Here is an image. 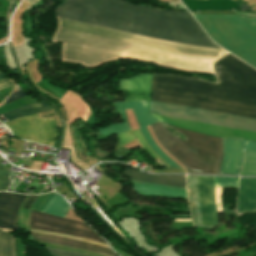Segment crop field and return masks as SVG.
Here are the masks:
<instances>
[{
  "mask_svg": "<svg viewBox=\"0 0 256 256\" xmlns=\"http://www.w3.org/2000/svg\"><path fill=\"white\" fill-rule=\"evenodd\" d=\"M56 15L160 39L220 48L206 36L190 13L186 12L158 10L133 5L124 0H66L57 8ZM57 19L60 26L218 58L228 53L223 49L181 44L58 17ZM60 26L57 27L52 41L63 43L61 61L83 64L84 67H98L104 62L133 58L191 72L214 74L213 63L218 60Z\"/></svg>",
  "mask_w": 256,
  "mask_h": 256,
  "instance_id": "obj_1",
  "label": "crop field"
},
{
  "mask_svg": "<svg viewBox=\"0 0 256 256\" xmlns=\"http://www.w3.org/2000/svg\"><path fill=\"white\" fill-rule=\"evenodd\" d=\"M215 70L219 85L154 75L151 100L256 119V71L230 54Z\"/></svg>",
  "mask_w": 256,
  "mask_h": 256,
  "instance_id": "obj_2",
  "label": "crop field"
},
{
  "mask_svg": "<svg viewBox=\"0 0 256 256\" xmlns=\"http://www.w3.org/2000/svg\"><path fill=\"white\" fill-rule=\"evenodd\" d=\"M161 145L188 173L217 174L222 160V138L177 128L164 123L151 126Z\"/></svg>",
  "mask_w": 256,
  "mask_h": 256,
  "instance_id": "obj_3",
  "label": "crop field"
},
{
  "mask_svg": "<svg viewBox=\"0 0 256 256\" xmlns=\"http://www.w3.org/2000/svg\"><path fill=\"white\" fill-rule=\"evenodd\" d=\"M221 47L256 68V19L239 15H193Z\"/></svg>",
  "mask_w": 256,
  "mask_h": 256,
  "instance_id": "obj_4",
  "label": "crop field"
},
{
  "mask_svg": "<svg viewBox=\"0 0 256 256\" xmlns=\"http://www.w3.org/2000/svg\"><path fill=\"white\" fill-rule=\"evenodd\" d=\"M150 113L161 116L256 131V120L214 113L209 111H203L198 109L186 108L181 106H175L170 104H164L159 102L151 101Z\"/></svg>",
  "mask_w": 256,
  "mask_h": 256,
  "instance_id": "obj_5",
  "label": "crop field"
},
{
  "mask_svg": "<svg viewBox=\"0 0 256 256\" xmlns=\"http://www.w3.org/2000/svg\"><path fill=\"white\" fill-rule=\"evenodd\" d=\"M188 195L194 225H219L214 201L213 177L199 176L200 202L203 216H201L199 202L198 176H187Z\"/></svg>",
  "mask_w": 256,
  "mask_h": 256,
  "instance_id": "obj_6",
  "label": "crop field"
},
{
  "mask_svg": "<svg viewBox=\"0 0 256 256\" xmlns=\"http://www.w3.org/2000/svg\"><path fill=\"white\" fill-rule=\"evenodd\" d=\"M150 101H138V102H116L115 108L116 113H121L123 123L115 124L110 127H105L98 132L104 135H114L118 133H122L125 131H129L130 128L128 127L125 111L124 109H133L137 122L140 126V129L147 140L148 144L151 146V148L162 158L164 159L170 166L173 167H179L174 161H172L168 156H166L160 148L157 147L156 143L150 136L146 126L151 125L153 123H156L158 121H162L164 123H167L163 119H161L157 115L149 114L148 108H149ZM169 124V123H167ZM180 168V167H179Z\"/></svg>",
  "mask_w": 256,
  "mask_h": 256,
  "instance_id": "obj_7",
  "label": "crop field"
},
{
  "mask_svg": "<svg viewBox=\"0 0 256 256\" xmlns=\"http://www.w3.org/2000/svg\"><path fill=\"white\" fill-rule=\"evenodd\" d=\"M14 136L54 146L57 127L54 118H39L38 114L5 123Z\"/></svg>",
  "mask_w": 256,
  "mask_h": 256,
  "instance_id": "obj_8",
  "label": "crop field"
},
{
  "mask_svg": "<svg viewBox=\"0 0 256 256\" xmlns=\"http://www.w3.org/2000/svg\"><path fill=\"white\" fill-rule=\"evenodd\" d=\"M30 228L65 233V234L74 235V236L105 243L103 239L95 238V237H99L95 233L87 232V231H91V229L84 223H80L72 220H66V219L46 215V214L35 212V211L31 212ZM75 228L83 229L87 231L78 230Z\"/></svg>",
  "mask_w": 256,
  "mask_h": 256,
  "instance_id": "obj_9",
  "label": "crop field"
},
{
  "mask_svg": "<svg viewBox=\"0 0 256 256\" xmlns=\"http://www.w3.org/2000/svg\"><path fill=\"white\" fill-rule=\"evenodd\" d=\"M242 161V139L223 138V161L218 174L238 175Z\"/></svg>",
  "mask_w": 256,
  "mask_h": 256,
  "instance_id": "obj_10",
  "label": "crop field"
},
{
  "mask_svg": "<svg viewBox=\"0 0 256 256\" xmlns=\"http://www.w3.org/2000/svg\"><path fill=\"white\" fill-rule=\"evenodd\" d=\"M152 77L144 74L122 80L120 91L125 92V101L150 100Z\"/></svg>",
  "mask_w": 256,
  "mask_h": 256,
  "instance_id": "obj_11",
  "label": "crop field"
},
{
  "mask_svg": "<svg viewBox=\"0 0 256 256\" xmlns=\"http://www.w3.org/2000/svg\"><path fill=\"white\" fill-rule=\"evenodd\" d=\"M26 195L0 192V228L16 230L17 210Z\"/></svg>",
  "mask_w": 256,
  "mask_h": 256,
  "instance_id": "obj_12",
  "label": "crop field"
},
{
  "mask_svg": "<svg viewBox=\"0 0 256 256\" xmlns=\"http://www.w3.org/2000/svg\"><path fill=\"white\" fill-rule=\"evenodd\" d=\"M256 211V178H241L239 185L238 212Z\"/></svg>",
  "mask_w": 256,
  "mask_h": 256,
  "instance_id": "obj_13",
  "label": "crop field"
},
{
  "mask_svg": "<svg viewBox=\"0 0 256 256\" xmlns=\"http://www.w3.org/2000/svg\"><path fill=\"white\" fill-rule=\"evenodd\" d=\"M126 176L141 181L153 182L167 186L183 187L186 188L185 176L175 175H147L135 172L131 169L123 170Z\"/></svg>",
  "mask_w": 256,
  "mask_h": 256,
  "instance_id": "obj_14",
  "label": "crop field"
},
{
  "mask_svg": "<svg viewBox=\"0 0 256 256\" xmlns=\"http://www.w3.org/2000/svg\"><path fill=\"white\" fill-rule=\"evenodd\" d=\"M134 189L140 195L187 199L186 191L152 187L134 183Z\"/></svg>",
  "mask_w": 256,
  "mask_h": 256,
  "instance_id": "obj_15",
  "label": "crop field"
},
{
  "mask_svg": "<svg viewBox=\"0 0 256 256\" xmlns=\"http://www.w3.org/2000/svg\"><path fill=\"white\" fill-rule=\"evenodd\" d=\"M32 236L35 240H38V241L61 244V245H65V246H69V247H73V248H77V249H82V250H86V251H90V252H94V253H98V254H102V255H106V256H116L112 252H109V251H106V250H103V249H100L97 247L89 246V245L78 244V243H74L71 241L60 240V239L49 238V237L34 236V235H32Z\"/></svg>",
  "mask_w": 256,
  "mask_h": 256,
  "instance_id": "obj_16",
  "label": "crop field"
},
{
  "mask_svg": "<svg viewBox=\"0 0 256 256\" xmlns=\"http://www.w3.org/2000/svg\"><path fill=\"white\" fill-rule=\"evenodd\" d=\"M47 109H50V105L46 104L43 101H40V102L33 103V104H30V105L22 107V108H18V109L6 112L2 115L9 121L14 118H18L20 116H25V115L32 114V113L43 112Z\"/></svg>",
  "mask_w": 256,
  "mask_h": 256,
  "instance_id": "obj_17",
  "label": "crop field"
},
{
  "mask_svg": "<svg viewBox=\"0 0 256 256\" xmlns=\"http://www.w3.org/2000/svg\"><path fill=\"white\" fill-rule=\"evenodd\" d=\"M68 209L69 207L64 200L55 194L42 212L64 218Z\"/></svg>",
  "mask_w": 256,
  "mask_h": 256,
  "instance_id": "obj_18",
  "label": "crop field"
},
{
  "mask_svg": "<svg viewBox=\"0 0 256 256\" xmlns=\"http://www.w3.org/2000/svg\"><path fill=\"white\" fill-rule=\"evenodd\" d=\"M0 256H15V238L1 230Z\"/></svg>",
  "mask_w": 256,
  "mask_h": 256,
  "instance_id": "obj_19",
  "label": "crop field"
},
{
  "mask_svg": "<svg viewBox=\"0 0 256 256\" xmlns=\"http://www.w3.org/2000/svg\"><path fill=\"white\" fill-rule=\"evenodd\" d=\"M239 175H256V152L244 150V161Z\"/></svg>",
  "mask_w": 256,
  "mask_h": 256,
  "instance_id": "obj_20",
  "label": "crop field"
},
{
  "mask_svg": "<svg viewBox=\"0 0 256 256\" xmlns=\"http://www.w3.org/2000/svg\"><path fill=\"white\" fill-rule=\"evenodd\" d=\"M136 139L132 132H126L117 135V143L115 150L119 149L120 147L126 145L127 143L131 142L132 140Z\"/></svg>",
  "mask_w": 256,
  "mask_h": 256,
  "instance_id": "obj_21",
  "label": "crop field"
},
{
  "mask_svg": "<svg viewBox=\"0 0 256 256\" xmlns=\"http://www.w3.org/2000/svg\"><path fill=\"white\" fill-rule=\"evenodd\" d=\"M10 173L9 169L0 167V191H5L10 185V179L8 178Z\"/></svg>",
  "mask_w": 256,
  "mask_h": 256,
  "instance_id": "obj_22",
  "label": "crop field"
},
{
  "mask_svg": "<svg viewBox=\"0 0 256 256\" xmlns=\"http://www.w3.org/2000/svg\"><path fill=\"white\" fill-rule=\"evenodd\" d=\"M215 186H238V178L214 177Z\"/></svg>",
  "mask_w": 256,
  "mask_h": 256,
  "instance_id": "obj_23",
  "label": "crop field"
},
{
  "mask_svg": "<svg viewBox=\"0 0 256 256\" xmlns=\"http://www.w3.org/2000/svg\"><path fill=\"white\" fill-rule=\"evenodd\" d=\"M30 231L35 232V233H41V234H48V235H54V236L73 238V239H77V240L84 241V242H87V243L97 244V245L109 248V246L105 245V244H101V243H97V242H93V241H89V240H85V239H81V238H77V237H73V236H69V235H65V234H56V233H50V232H44V231H38V230H32V229H30Z\"/></svg>",
  "mask_w": 256,
  "mask_h": 256,
  "instance_id": "obj_24",
  "label": "crop field"
},
{
  "mask_svg": "<svg viewBox=\"0 0 256 256\" xmlns=\"http://www.w3.org/2000/svg\"><path fill=\"white\" fill-rule=\"evenodd\" d=\"M136 131H137L138 135L140 136V138L143 140V142L146 144V146L149 148V150H150L154 155H156L155 152H154V151L148 146V144L146 143V141H145V139H144V137H143V135H142L140 129H136ZM136 131L133 130V133L136 135V137L138 138V140H139L140 143L142 144L143 148H144L151 156H153L157 161H159V160L147 149V147L144 145V143H143V142L141 141V139L138 137ZM156 156H157V155H156ZM157 157H158L166 166H169V165H167L159 156H157Z\"/></svg>",
  "mask_w": 256,
  "mask_h": 256,
  "instance_id": "obj_25",
  "label": "crop field"
},
{
  "mask_svg": "<svg viewBox=\"0 0 256 256\" xmlns=\"http://www.w3.org/2000/svg\"><path fill=\"white\" fill-rule=\"evenodd\" d=\"M46 249L51 253L52 256H85V255H80V254L55 250V249H49V248H46Z\"/></svg>",
  "mask_w": 256,
  "mask_h": 256,
  "instance_id": "obj_26",
  "label": "crop field"
},
{
  "mask_svg": "<svg viewBox=\"0 0 256 256\" xmlns=\"http://www.w3.org/2000/svg\"><path fill=\"white\" fill-rule=\"evenodd\" d=\"M243 149L250 150V151H256V142H250L243 140Z\"/></svg>",
  "mask_w": 256,
  "mask_h": 256,
  "instance_id": "obj_27",
  "label": "crop field"
},
{
  "mask_svg": "<svg viewBox=\"0 0 256 256\" xmlns=\"http://www.w3.org/2000/svg\"><path fill=\"white\" fill-rule=\"evenodd\" d=\"M23 96H26V94H24L22 91L17 92V93H14V94H11V95L9 96V99H8V101H7L6 103H9V102H11V101H14V100H16V99H18V98H21V97H23ZM4 104H5V103H4Z\"/></svg>",
  "mask_w": 256,
  "mask_h": 256,
  "instance_id": "obj_28",
  "label": "crop field"
},
{
  "mask_svg": "<svg viewBox=\"0 0 256 256\" xmlns=\"http://www.w3.org/2000/svg\"><path fill=\"white\" fill-rule=\"evenodd\" d=\"M153 172H178V173H186L185 170L182 169H155Z\"/></svg>",
  "mask_w": 256,
  "mask_h": 256,
  "instance_id": "obj_29",
  "label": "crop field"
},
{
  "mask_svg": "<svg viewBox=\"0 0 256 256\" xmlns=\"http://www.w3.org/2000/svg\"><path fill=\"white\" fill-rule=\"evenodd\" d=\"M36 198H37V196H29V198L25 202L23 208L29 209V207L32 205V203L35 201Z\"/></svg>",
  "mask_w": 256,
  "mask_h": 256,
  "instance_id": "obj_30",
  "label": "crop field"
},
{
  "mask_svg": "<svg viewBox=\"0 0 256 256\" xmlns=\"http://www.w3.org/2000/svg\"><path fill=\"white\" fill-rule=\"evenodd\" d=\"M12 85L13 84L8 79H6V80L0 82V90H2L4 88H7V87H10Z\"/></svg>",
  "mask_w": 256,
  "mask_h": 256,
  "instance_id": "obj_31",
  "label": "crop field"
},
{
  "mask_svg": "<svg viewBox=\"0 0 256 256\" xmlns=\"http://www.w3.org/2000/svg\"><path fill=\"white\" fill-rule=\"evenodd\" d=\"M30 234H33V233H30ZM36 235H41V234H36ZM43 236H48V235H43ZM49 237H54V236H49ZM55 238H61V237H55ZM61 239H67V240H71V241H74V242L84 243V242H80V241L73 240V239H68V238H61ZM85 244H87V243H85ZM89 245H91V244H89ZM93 246H97V245H93ZM97 247H100V246H97ZM100 248H103V247H100ZM103 249L112 251V250L107 249V248H103Z\"/></svg>",
  "mask_w": 256,
  "mask_h": 256,
  "instance_id": "obj_32",
  "label": "crop field"
},
{
  "mask_svg": "<svg viewBox=\"0 0 256 256\" xmlns=\"http://www.w3.org/2000/svg\"><path fill=\"white\" fill-rule=\"evenodd\" d=\"M237 14H241V15H245V16H250V17H255L256 18V12H253V13L238 12Z\"/></svg>",
  "mask_w": 256,
  "mask_h": 256,
  "instance_id": "obj_33",
  "label": "crop field"
},
{
  "mask_svg": "<svg viewBox=\"0 0 256 256\" xmlns=\"http://www.w3.org/2000/svg\"><path fill=\"white\" fill-rule=\"evenodd\" d=\"M54 195V193L50 194L49 197L45 200V202L42 204L41 208L39 209V212L44 208V206L47 204V202L50 200V198Z\"/></svg>",
  "mask_w": 256,
  "mask_h": 256,
  "instance_id": "obj_34",
  "label": "crop field"
},
{
  "mask_svg": "<svg viewBox=\"0 0 256 256\" xmlns=\"http://www.w3.org/2000/svg\"><path fill=\"white\" fill-rule=\"evenodd\" d=\"M134 181V180H132ZM135 182H140V181H135ZM141 183H146V182H141ZM146 184H151V185H157V186H162V185H158V184H152V183H146ZM163 187H167V186H163ZM170 188H174V187H170ZM177 189H183V188H177ZM186 190V189H183Z\"/></svg>",
  "mask_w": 256,
  "mask_h": 256,
  "instance_id": "obj_35",
  "label": "crop field"
},
{
  "mask_svg": "<svg viewBox=\"0 0 256 256\" xmlns=\"http://www.w3.org/2000/svg\"><path fill=\"white\" fill-rule=\"evenodd\" d=\"M42 196V195H41ZM41 196H38V198L36 199V201L34 202V204L31 206V210H33V208H34V206H35V204L37 203V201L41 198Z\"/></svg>",
  "mask_w": 256,
  "mask_h": 256,
  "instance_id": "obj_36",
  "label": "crop field"
},
{
  "mask_svg": "<svg viewBox=\"0 0 256 256\" xmlns=\"http://www.w3.org/2000/svg\"><path fill=\"white\" fill-rule=\"evenodd\" d=\"M6 79V76L4 75V73L0 74V81Z\"/></svg>",
  "mask_w": 256,
  "mask_h": 256,
  "instance_id": "obj_37",
  "label": "crop field"
}]
</instances>
